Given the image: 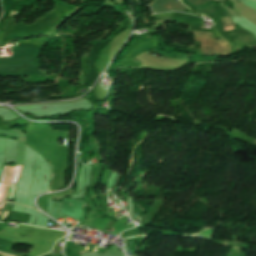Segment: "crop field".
<instances>
[{"mask_svg":"<svg viewBox=\"0 0 256 256\" xmlns=\"http://www.w3.org/2000/svg\"><path fill=\"white\" fill-rule=\"evenodd\" d=\"M187 1H189L192 4L198 6V5H200L202 3H205L209 0H187ZM222 22H223L224 27L230 26V25H233V26L235 25L234 23H232L230 21L229 18L223 19ZM232 29H233L232 26L224 28L225 31L232 30ZM194 33L196 35L195 40L197 41L198 44H230L226 40H220V41L217 42L214 38H212V33H206V32H194Z\"/></svg>","mask_w":256,"mask_h":256,"instance_id":"obj_1","label":"crop field"},{"mask_svg":"<svg viewBox=\"0 0 256 256\" xmlns=\"http://www.w3.org/2000/svg\"><path fill=\"white\" fill-rule=\"evenodd\" d=\"M155 3L149 4L152 7V11L155 13L165 12V11H182L184 12V7L180 1L174 0H154Z\"/></svg>","mask_w":256,"mask_h":256,"instance_id":"obj_2","label":"crop field"},{"mask_svg":"<svg viewBox=\"0 0 256 256\" xmlns=\"http://www.w3.org/2000/svg\"><path fill=\"white\" fill-rule=\"evenodd\" d=\"M202 27V26H201ZM203 28V27H202Z\"/></svg>","mask_w":256,"mask_h":256,"instance_id":"obj_3","label":"crop field"}]
</instances>
